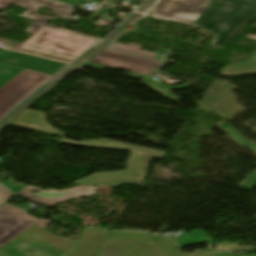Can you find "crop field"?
Here are the masks:
<instances>
[{
  "label": "crop field",
  "instance_id": "obj_1",
  "mask_svg": "<svg viewBox=\"0 0 256 256\" xmlns=\"http://www.w3.org/2000/svg\"><path fill=\"white\" fill-rule=\"evenodd\" d=\"M151 18L203 27L215 34L211 45L222 48L243 26L256 18V5L242 0H160Z\"/></svg>",
  "mask_w": 256,
  "mask_h": 256
},
{
  "label": "crop field",
  "instance_id": "obj_2",
  "mask_svg": "<svg viewBox=\"0 0 256 256\" xmlns=\"http://www.w3.org/2000/svg\"><path fill=\"white\" fill-rule=\"evenodd\" d=\"M109 230L87 227L78 238H67L28 229L0 248V256H93Z\"/></svg>",
  "mask_w": 256,
  "mask_h": 256
},
{
  "label": "crop field",
  "instance_id": "obj_3",
  "mask_svg": "<svg viewBox=\"0 0 256 256\" xmlns=\"http://www.w3.org/2000/svg\"><path fill=\"white\" fill-rule=\"evenodd\" d=\"M61 143L75 146L98 147L131 152L126 170L115 172L94 173L86 179L74 184L117 188L123 184L141 185L146 178L147 166L152 158L161 159L164 152L126 144L122 142L100 139L76 142L62 138Z\"/></svg>",
  "mask_w": 256,
  "mask_h": 256
},
{
  "label": "crop field",
  "instance_id": "obj_4",
  "mask_svg": "<svg viewBox=\"0 0 256 256\" xmlns=\"http://www.w3.org/2000/svg\"><path fill=\"white\" fill-rule=\"evenodd\" d=\"M51 77L0 63V118Z\"/></svg>",
  "mask_w": 256,
  "mask_h": 256
},
{
  "label": "crop field",
  "instance_id": "obj_5",
  "mask_svg": "<svg viewBox=\"0 0 256 256\" xmlns=\"http://www.w3.org/2000/svg\"><path fill=\"white\" fill-rule=\"evenodd\" d=\"M181 253L172 241L149 234L111 231L96 255Z\"/></svg>",
  "mask_w": 256,
  "mask_h": 256
},
{
  "label": "crop field",
  "instance_id": "obj_6",
  "mask_svg": "<svg viewBox=\"0 0 256 256\" xmlns=\"http://www.w3.org/2000/svg\"><path fill=\"white\" fill-rule=\"evenodd\" d=\"M96 40L42 27L21 47L73 60Z\"/></svg>",
  "mask_w": 256,
  "mask_h": 256
},
{
  "label": "crop field",
  "instance_id": "obj_7",
  "mask_svg": "<svg viewBox=\"0 0 256 256\" xmlns=\"http://www.w3.org/2000/svg\"><path fill=\"white\" fill-rule=\"evenodd\" d=\"M50 222L51 220L37 219L27 212L5 203L0 207V246L28 228L50 233L45 229Z\"/></svg>",
  "mask_w": 256,
  "mask_h": 256
},
{
  "label": "crop field",
  "instance_id": "obj_8",
  "mask_svg": "<svg viewBox=\"0 0 256 256\" xmlns=\"http://www.w3.org/2000/svg\"><path fill=\"white\" fill-rule=\"evenodd\" d=\"M15 5H18V6L29 9L22 16L35 20V22L29 28H27L25 30L29 33L35 34L42 26H45V27H49V28L62 30V31H66V32L86 36V37H89V38L97 39V38H94L92 36H88V35L80 34V33H77V32L70 31V30H66V29L46 25V23L48 21H50L51 19H53L55 17H47V16L37 14L38 8L47 7L51 10H54V12L58 13L64 19L77 21L79 19L69 17L71 9H72L73 6H70V5H67V4H64V3H60V2H57V1H54V0H20ZM97 40H99V39H97Z\"/></svg>",
  "mask_w": 256,
  "mask_h": 256
},
{
  "label": "crop field",
  "instance_id": "obj_9",
  "mask_svg": "<svg viewBox=\"0 0 256 256\" xmlns=\"http://www.w3.org/2000/svg\"><path fill=\"white\" fill-rule=\"evenodd\" d=\"M84 66H88V67H92V68H96V69H103L105 67L128 69V70L132 71L131 77L147 80V82L144 84H146L151 89L157 91L158 93L166 96L167 98H169L173 101L179 100V98L170 94L169 93L170 89H172V88H187L186 86H167L160 81L152 80V79L148 78L149 74L153 71L151 69H147V68H143V67H139V66H135V65H131V64H127V63H123V62H119V61H115V60H111V59H107V58H103V57L95 56L90 61H88L86 64H84Z\"/></svg>",
  "mask_w": 256,
  "mask_h": 256
},
{
  "label": "crop field",
  "instance_id": "obj_10",
  "mask_svg": "<svg viewBox=\"0 0 256 256\" xmlns=\"http://www.w3.org/2000/svg\"><path fill=\"white\" fill-rule=\"evenodd\" d=\"M27 188L36 190L38 192L31 194L26 191ZM93 194H95V187H90V186H78L75 188L62 190V191H56V190L44 191L33 186H28L24 190H22L20 193H18V195L22 197L40 202L48 206H51V203L65 201L66 199H69V198H75V197H81V196H87V195H93Z\"/></svg>",
  "mask_w": 256,
  "mask_h": 256
},
{
  "label": "crop field",
  "instance_id": "obj_11",
  "mask_svg": "<svg viewBox=\"0 0 256 256\" xmlns=\"http://www.w3.org/2000/svg\"><path fill=\"white\" fill-rule=\"evenodd\" d=\"M8 53L9 55H6ZM6 59H13L18 61V63H14L11 61H8ZM0 62L11 64L23 68H28L48 74L54 75L57 73L61 68H63L66 64L22 54L17 52H6L5 50H0Z\"/></svg>",
  "mask_w": 256,
  "mask_h": 256
},
{
  "label": "crop field",
  "instance_id": "obj_12",
  "mask_svg": "<svg viewBox=\"0 0 256 256\" xmlns=\"http://www.w3.org/2000/svg\"><path fill=\"white\" fill-rule=\"evenodd\" d=\"M10 125L61 136L65 135L45 122V114L43 112L30 109L20 114Z\"/></svg>",
  "mask_w": 256,
  "mask_h": 256
},
{
  "label": "crop field",
  "instance_id": "obj_13",
  "mask_svg": "<svg viewBox=\"0 0 256 256\" xmlns=\"http://www.w3.org/2000/svg\"><path fill=\"white\" fill-rule=\"evenodd\" d=\"M249 74H256V52L252 53L246 61L225 66L220 73L223 77H235Z\"/></svg>",
  "mask_w": 256,
  "mask_h": 256
},
{
  "label": "crop field",
  "instance_id": "obj_14",
  "mask_svg": "<svg viewBox=\"0 0 256 256\" xmlns=\"http://www.w3.org/2000/svg\"><path fill=\"white\" fill-rule=\"evenodd\" d=\"M98 56H103L151 69H156L161 66V62L155 61V60H150V59H145V58H140L132 55H127L123 53H118L110 50H102L100 53L97 54Z\"/></svg>",
  "mask_w": 256,
  "mask_h": 256
},
{
  "label": "crop field",
  "instance_id": "obj_15",
  "mask_svg": "<svg viewBox=\"0 0 256 256\" xmlns=\"http://www.w3.org/2000/svg\"><path fill=\"white\" fill-rule=\"evenodd\" d=\"M192 242H195V244H199L201 242H206L208 243L207 249H194L193 252L197 251H213L211 248V242L208 236L205 234L204 231H199V232H190V233H185L181 237H179V248L186 245V244H192Z\"/></svg>",
  "mask_w": 256,
  "mask_h": 256
},
{
  "label": "crop field",
  "instance_id": "obj_16",
  "mask_svg": "<svg viewBox=\"0 0 256 256\" xmlns=\"http://www.w3.org/2000/svg\"><path fill=\"white\" fill-rule=\"evenodd\" d=\"M141 47H142L141 45H137L134 43H130L128 45L115 43L113 46L110 47V49H115V50L124 51V52L146 56V57L155 59L156 56L154 53L140 50Z\"/></svg>",
  "mask_w": 256,
  "mask_h": 256
},
{
  "label": "crop field",
  "instance_id": "obj_17",
  "mask_svg": "<svg viewBox=\"0 0 256 256\" xmlns=\"http://www.w3.org/2000/svg\"><path fill=\"white\" fill-rule=\"evenodd\" d=\"M232 253H211V254H162V255H117V256H233Z\"/></svg>",
  "mask_w": 256,
  "mask_h": 256
},
{
  "label": "crop field",
  "instance_id": "obj_18",
  "mask_svg": "<svg viewBox=\"0 0 256 256\" xmlns=\"http://www.w3.org/2000/svg\"><path fill=\"white\" fill-rule=\"evenodd\" d=\"M19 51H22V52H25V53H29V54H33V55H38V56L46 57V58H50V59H54V60H58V61L70 62V60H66V59H62V58H58V57H54V56H50V55H46V54L30 51V50H26V49H22V48H20Z\"/></svg>",
  "mask_w": 256,
  "mask_h": 256
},
{
  "label": "crop field",
  "instance_id": "obj_19",
  "mask_svg": "<svg viewBox=\"0 0 256 256\" xmlns=\"http://www.w3.org/2000/svg\"><path fill=\"white\" fill-rule=\"evenodd\" d=\"M14 194L0 187V206L7 202Z\"/></svg>",
  "mask_w": 256,
  "mask_h": 256
},
{
  "label": "crop field",
  "instance_id": "obj_20",
  "mask_svg": "<svg viewBox=\"0 0 256 256\" xmlns=\"http://www.w3.org/2000/svg\"><path fill=\"white\" fill-rule=\"evenodd\" d=\"M4 185L8 187L10 190H12L13 192H15L16 194L26 187V185H21V184H16L11 182H8Z\"/></svg>",
  "mask_w": 256,
  "mask_h": 256
},
{
  "label": "crop field",
  "instance_id": "obj_21",
  "mask_svg": "<svg viewBox=\"0 0 256 256\" xmlns=\"http://www.w3.org/2000/svg\"><path fill=\"white\" fill-rule=\"evenodd\" d=\"M16 0H0V9L5 10Z\"/></svg>",
  "mask_w": 256,
  "mask_h": 256
},
{
  "label": "crop field",
  "instance_id": "obj_22",
  "mask_svg": "<svg viewBox=\"0 0 256 256\" xmlns=\"http://www.w3.org/2000/svg\"><path fill=\"white\" fill-rule=\"evenodd\" d=\"M60 2H64L73 6H76L78 3H80L82 0H57Z\"/></svg>",
  "mask_w": 256,
  "mask_h": 256
},
{
  "label": "crop field",
  "instance_id": "obj_23",
  "mask_svg": "<svg viewBox=\"0 0 256 256\" xmlns=\"http://www.w3.org/2000/svg\"><path fill=\"white\" fill-rule=\"evenodd\" d=\"M245 37L252 38V39H256V36L250 35V34H247Z\"/></svg>",
  "mask_w": 256,
  "mask_h": 256
},
{
  "label": "crop field",
  "instance_id": "obj_24",
  "mask_svg": "<svg viewBox=\"0 0 256 256\" xmlns=\"http://www.w3.org/2000/svg\"><path fill=\"white\" fill-rule=\"evenodd\" d=\"M249 1H252V2H255V3H256V0H249Z\"/></svg>",
  "mask_w": 256,
  "mask_h": 256
}]
</instances>
